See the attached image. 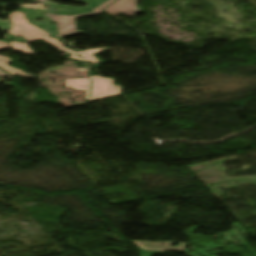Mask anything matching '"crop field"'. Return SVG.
<instances>
[{"label":"crop field","instance_id":"obj_1","mask_svg":"<svg viewBox=\"0 0 256 256\" xmlns=\"http://www.w3.org/2000/svg\"><path fill=\"white\" fill-rule=\"evenodd\" d=\"M10 20L12 22V29L8 32L9 34L13 36H19L25 38L28 42L21 44L19 42H11L9 43L11 48L16 51H22L25 54H33V52L29 49V47L26 45L27 43L39 39H43L53 46L57 47L59 50L64 52H69L72 54L71 58L76 59L78 61L82 60L79 57H76V53H79L86 62H92L93 64L98 63L99 61L92 55L100 51L108 50V48L103 49H94V50H87L83 52H74L72 50H69L65 47H63V44L52 37H49L47 32L42 30L41 28L29 23V20L25 19V14L16 11L9 15ZM87 55H84V54Z\"/></svg>","mask_w":256,"mask_h":256},{"label":"crop field","instance_id":"obj_2","mask_svg":"<svg viewBox=\"0 0 256 256\" xmlns=\"http://www.w3.org/2000/svg\"><path fill=\"white\" fill-rule=\"evenodd\" d=\"M92 99H89L90 79H66V88L85 90V99L96 100L99 98L120 94L121 87L113 86L114 79H103L92 76Z\"/></svg>","mask_w":256,"mask_h":256},{"label":"crop field","instance_id":"obj_3","mask_svg":"<svg viewBox=\"0 0 256 256\" xmlns=\"http://www.w3.org/2000/svg\"><path fill=\"white\" fill-rule=\"evenodd\" d=\"M114 1L115 0H109V1L105 2L104 4L95 8L93 10V13H89V14L68 16V15H54L52 13H48V14H46V16L49 17L52 21L56 22L59 37L76 34V33H81L82 31L77 32L75 18L104 13L101 11V9L106 7L107 5H109L110 3L114 2Z\"/></svg>","mask_w":256,"mask_h":256},{"label":"crop field","instance_id":"obj_4","mask_svg":"<svg viewBox=\"0 0 256 256\" xmlns=\"http://www.w3.org/2000/svg\"><path fill=\"white\" fill-rule=\"evenodd\" d=\"M137 1L138 0H118L103 10L112 16L118 13L135 16L140 12L136 5Z\"/></svg>","mask_w":256,"mask_h":256},{"label":"crop field","instance_id":"obj_5","mask_svg":"<svg viewBox=\"0 0 256 256\" xmlns=\"http://www.w3.org/2000/svg\"><path fill=\"white\" fill-rule=\"evenodd\" d=\"M143 242V244L141 243ZM132 243L136 244L137 246L141 247L144 250H184L185 245L183 243H180V248L171 247L170 243H176V242H157V243H150L146 241H132ZM161 243H165V245H161Z\"/></svg>","mask_w":256,"mask_h":256},{"label":"crop field","instance_id":"obj_6","mask_svg":"<svg viewBox=\"0 0 256 256\" xmlns=\"http://www.w3.org/2000/svg\"><path fill=\"white\" fill-rule=\"evenodd\" d=\"M3 49H10V46L6 42H0V50ZM9 62L10 59L0 56V67L9 72L11 75H17L25 78H36L35 76H32L30 74H26L22 71L11 68L10 66H8Z\"/></svg>","mask_w":256,"mask_h":256},{"label":"crop field","instance_id":"obj_7","mask_svg":"<svg viewBox=\"0 0 256 256\" xmlns=\"http://www.w3.org/2000/svg\"><path fill=\"white\" fill-rule=\"evenodd\" d=\"M21 7L32 8V9H45L42 4H37V5H21Z\"/></svg>","mask_w":256,"mask_h":256},{"label":"crop field","instance_id":"obj_8","mask_svg":"<svg viewBox=\"0 0 256 256\" xmlns=\"http://www.w3.org/2000/svg\"><path fill=\"white\" fill-rule=\"evenodd\" d=\"M139 251H141V250H139ZM140 253L141 254L139 256H152V255L156 256V255H158L160 253H164V252L152 253V252H143V251H141Z\"/></svg>","mask_w":256,"mask_h":256},{"label":"crop field","instance_id":"obj_9","mask_svg":"<svg viewBox=\"0 0 256 256\" xmlns=\"http://www.w3.org/2000/svg\"><path fill=\"white\" fill-rule=\"evenodd\" d=\"M0 77H12L9 74L5 73L4 71L0 70Z\"/></svg>","mask_w":256,"mask_h":256},{"label":"crop field","instance_id":"obj_10","mask_svg":"<svg viewBox=\"0 0 256 256\" xmlns=\"http://www.w3.org/2000/svg\"><path fill=\"white\" fill-rule=\"evenodd\" d=\"M208 251H205V252H197V253H202L201 255H204V256H210L207 254Z\"/></svg>","mask_w":256,"mask_h":256},{"label":"crop field","instance_id":"obj_11","mask_svg":"<svg viewBox=\"0 0 256 256\" xmlns=\"http://www.w3.org/2000/svg\"><path fill=\"white\" fill-rule=\"evenodd\" d=\"M189 255H191V256H195V255H193V254H189Z\"/></svg>","mask_w":256,"mask_h":256}]
</instances>
